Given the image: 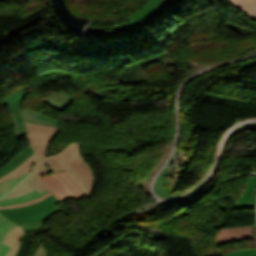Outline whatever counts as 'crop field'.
Returning a JSON list of instances; mask_svg holds the SVG:
<instances>
[{
  "instance_id": "7",
  "label": "crop field",
  "mask_w": 256,
  "mask_h": 256,
  "mask_svg": "<svg viewBox=\"0 0 256 256\" xmlns=\"http://www.w3.org/2000/svg\"><path fill=\"white\" fill-rule=\"evenodd\" d=\"M73 100L74 99L72 96L68 95L64 91H60L56 94L46 97L42 101L59 111H63Z\"/></svg>"
},
{
  "instance_id": "20",
  "label": "crop field",
  "mask_w": 256,
  "mask_h": 256,
  "mask_svg": "<svg viewBox=\"0 0 256 256\" xmlns=\"http://www.w3.org/2000/svg\"><path fill=\"white\" fill-rule=\"evenodd\" d=\"M224 256H256V251L255 249H245L241 251H235Z\"/></svg>"
},
{
  "instance_id": "17",
  "label": "crop field",
  "mask_w": 256,
  "mask_h": 256,
  "mask_svg": "<svg viewBox=\"0 0 256 256\" xmlns=\"http://www.w3.org/2000/svg\"><path fill=\"white\" fill-rule=\"evenodd\" d=\"M60 210H61V208H59V207L56 205L54 208H52V209H50V210H48V211H46V212H44V213H42V214H39V215H37V216H34V217H27V218H23V219H20V220L13 221V222L17 223L18 225L26 224V223H31V222H35V221H38V220H40V219L49 217V216H51V215H53V214L59 212ZM17 224H16V225H17Z\"/></svg>"
},
{
  "instance_id": "8",
  "label": "crop field",
  "mask_w": 256,
  "mask_h": 256,
  "mask_svg": "<svg viewBox=\"0 0 256 256\" xmlns=\"http://www.w3.org/2000/svg\"><path fill=\"white\" fill-rule=\"evenodd\" d=\"M33 154L34 152L31 146L27 147L24 151H22L9 163H7L5 166L0 168V177L12 171L14 168H16L18 165H20L22 162H24L27 158H29Z\"/></svg>"
},
{
  "instance_id": "9",
  "label": "crop field",
  "mask_w": 256,
  "mask_h": 256,
  "mask_svg": "<svg viewBox=\"0 0 256 256\" xmlns=\"http://www.w3.org/2000/svg\"><path fill=\"white\" fill-rule=\"evenodd\" d=\"M22 114L26 121L33 122V123H39V124H45V125H51V126H58V121L54 120L52 118H49L41 113L32 111V110H23Z\"/></svg>"
},
{
  "instance_id": "21",
  "label": "crop field",
  "mask_w": 256,
  "mask_h": 256,
  "mask_svg": "<svg viewBox=\"0 0 256 256\" xmlns=\"http://www.w3.org/2000/svg\"><path fill=\"white\" fill-rule=\"evenodd\" d=\"M36 242H37L38 248L34 252L33 256H47L45 248H43L41 245L42 239H40Z\"/></svg>"
},
{
  "instance_id": "24",
  "label": "crop field",
  "mask_w": 256,
  "mask_h": 256,
  "mask_svg": "<svg viewBox=\"0 0 256 256\" xmlns=\"http://www.w3.org/2000/svg\"><path fill=\"white\" fill-rule=\"evenodd\" d=\"M4 217L0 215V221L3 219Z\"/></svg>"
},
{
  "instance_id": "1",
  "label": "crop field",
  "mask_w": 256,
  "mask_h": 256,
  "mask_svg": "<svg viewBox=\"0 0 256 256\" xmlns=\"http://www.w3.org/2000/svg\"><path fill=\"white\" fill-rule=\"evenodd\" d=\"M54 158L81 185L84 195L91 198L95 177L92 169L81 157L79 143L70 144Z\"/></svg>"
},
{
  "instance_id": "2",
  "label": "crop field",
  "mask_w": 256,
  "mask_h": 256,
  "mask_svg": "<svg viewBox=\"0 0 256 256\" xmlns=\"http://www.w3.org/2000/svg\"><path fill=\"white\" fill-rule=\"evenodd\" d=\"M39 180L50 190L49 193L45 194L44 196L38 199L29 201L24 204L9 206V207H0V209L20 207L23 205L32 204L34 202L42 200L43 198L47 197L51 193H53L54 196L59 201H62L68 198H72L75 200L83 198V192L81 187L65 171L56 173L54 175L50 174L48 176L39 178Z\"/></svg>"
},
{
  "instance_id": "19",
  "label": "crop field",
  "mask_w": 256,
  "mask_h": 256,
  "mask_svg": "<svg viewBox=\"0 0 256 256\" xmlns=\"http://www.w3.org/2000/svg\"><path fill=\"white\" fill-rule=\"evenodd\" d=\"M242 13H246L256 5V0H227Z\"/></svg>"
},
{
  "instance_id": "10",
  "label": "crop field",
  "mask_w": 256,
  "mask_h": 256,
  "mask_svg": "<svg viewBox=\"0 0 256 256\" xmlns=\"http://www.w3.org/2000/svg\"><path fill=\"white\" fill-rule=\"evenodd\" d=\"M10 114V118L15 127L16 139L20 138L22 135L26 133L25 123L20 113L19 108L7 106Z\"/></svg>"
},
{
  "instance_id": "18",
  "label": "crop field",
  "mask_w": 256,
  "mask_h": 256,
  "mask_svg": "<svg viewBox=\"0 0 256 256\" xmlns=\"http://www.w3.org/2000/svg\"><path fill=\"white\" fill-rule=\"evenodd\" d=\"M28 91L29 90H23V91L14 93V94H10L1 103L5 104V105H11V106L20 108L21 102L24 99V97L26 96V94L28 93Z\"/></svg>"
},
{
  "instance_id": "14",
  "label": "crop field",
  "mask_w": 256,
  "mask_h": 256,
  "mask_svg": "<svg viewBox=\"0 0 256 256\" xmlns=\"http://www.w3.org/2000/svg\"><path fill=\"white\" fill-rule=\"evenodd\" d=\"M35 161L36 156L34 154L28 160L22 163L19 167H17L15 170L0 178V182L16 175L28 173L30 171L31 166L35 163Z\"/></svg>"
},
{
  "instance_id": "6",
  "label": "crop field",
  "mask_w": 256,
  "mask_h": 256,
  "mask_svg": "<svg viewBox=\"0 0 256 256\" xmlns=\"http://www.w3.org/2000/svg\"><path fill=\"white\" fill-rule=\"evenodd\" d=\"M249 238H254L253 225L221 229L216 238V243L221 245Z\"/></svg>"
},
{
  "instance_id": "15",
  "label": "crop field",
  "mask_w": 256,
  "mask_h": 256,
  "mask_svg": "<svg viewBox=\"0 0 256 256\" xmlns=\"http://www.w3.org/2000/svg\"><path fill=\"white\" fill-rule=\"evenodd\" d=\"M28 174L16 176L5 180L0 183V197L5 193L11 191L16 185H18Z\"/></svg>"
},
{
  "instance_id": "3",
  "label": "crop field",
  "mask_w": 256,
  "mask_h": 256,
  "mask_svg": "<svg viewBox=\"0 0 256 256\" xmlns=\"http://www.w3.org/2000/svg\"><path fill=\"white\" fill-rule=\"evenodd\" d=\"M59 171H63V169L57 164L52 156L44 158L35 164L32 173L17 188L3 196L1 199L17 196L34 188H36L41 193L47 190V188L37 178L48 175L50 173L54 174Z\"/></svg>"
},
{
  "instance_id": "11",
  "label": "crop field",
  "mask_w": 256,
  "mask_h": 256,
  "mask_svg": "<svg viewBox=\"0 0 256 256\" xmlns=\"http://www.w3.org/2000/svg\"><path fill=\"white\" fill-rule=\"evenodd\" d=\"M24 230L20 227H15L10 234L4 240V243L12 246L6 256H15L20 245L21 236L24 234Z\"/></svg>"
},
{
  "instance_id": "22",
  "label": "crop field",
  "mask_w": 256,
  "mask_h": 256,
  "mask_svg": "<svg viewBox=\"0 0 256 256\" xmlns=\"http://www.w3.org/2000/svg\"><path fill=\"white\" fill-rule=\"evenodd\" d=\"M246 15L250 16L251 18H253L254 20H256V7L254 9H252L249 13H247Z\"/></svg>"
},
{
  "instance_id": "16",
  "label": "crop field",
  "mask_w": 256,
  "mask_h": 256,
  "mask_svg": "<svg viewBox=\"0 0 256 256\" xmlns=\"http://www.w3.org/2000/svg\"><path fill=\"white\" fill-rule=\"evenodd\" d=\"M256 193V179L253 177H249L248 179V188L243 193L238 202H254Z\"/></svg>"
},
{
  "instance_id": "12",
  "label": "crop field",
  "mask_w": 256,
  "mask_h": 256,
  "mask_svg": "<svg viewBox=\"0 0 256 256\" xmlns=\"http://www.w3.org/2000/svg\"><path fill=\"white\" fill-rule=\"evenodd\" d=\"M47 192L48 191L40 194L36 189H34V190H32L26 194H22L18 197L0 200V206H9V205L20 204V203L35 199L37 197H40Z\"/></svg>"
},
{
  "instance_id": "4",
  "label": "crop field",
  "mask_w": 256,
  "mask_h": 256,
  "mask_svg": "<svg viewBox=\"0 0 256 256\" xmlns=\"http://www.w3.org/2000/svg\"><path fill=\"white\" fill-rule=\"evenodd\" d=\"M27 123L28 138L37 155V160L45 157L49 148V144L59 128Z\"/></svg>"
},
{
  "instance_id": "5",
  "label": "crop field",
  "mask_w": 256,
  "mask_h": 256,
  "mask_svg": "<svg viewBox=\"0 0 256 256\" xmlns=\"http://www.w3.org/2000/svg\"><path fill=\"white\" fill-rule=\"evenodd\" d=\"M58 202L59 201L52 194L47 198L43 199L42 201L34 203L33 205L24 206L20 208L7 209V210H0V213L5 215L11 221H13L23 217L37 215L53 207Z\"/></svg>"
},
{
  "instance_id": "13",
  "label": "crop field",
  "mask_w": 256,
  "mask_h": 256,
  "mask_svg": "<svg viewBox=\"0 0 256 256\" xmlns=\"http://www.w3.org/2000/svg\"><path fill=\"white\" fill-rule=\"evenodd\" d=\"M13 223H11L9 220L4 218L0 222V256H5L6 253L9 251L10 246L3 244V240L7 236L8 233L15 227Z\"/></svg>"
},
{
  "instance_id": "23",
  "label": "crop field",
  "mask_w": 256,
  "mask_h": 256,
  "mask_svg": "<svg viewBox=\"0 0 256 256\" xmlns=\"http://www.w3.org/2000/svg\"><path fill=\"white\" fill-rule=\"evenodd\" d=\"M166 0H161L157 6H159L160 4L164 3Z\"/></svg>"
}]
</instances>
